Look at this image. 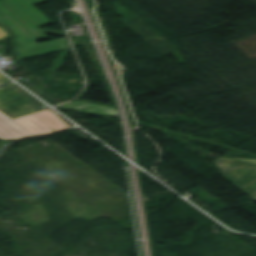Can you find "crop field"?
Here are the masks:
<instances>
[{"label":"crop field","mask_w":256,"mask_h":256,"mask_svg":"<svg viewBox=\"0 0 256 256\" xmlns=\"http://www.w3.org/2000/svg\"><path fill=\"white\" fill-rule=\"evenodd\" d=\"M47 0H0V24L9 27L14 46L48 39L39 28L53 23L33 5Z\"/></svg>","instance_id":"obj_1"},{"label":"crop field","mask_w":256,"mask_h":256,"mask_svg":"<svg viewBox=\"0 0 256 256\" xmlns=\"http://www.w3.org/2000/svg\"><path fill=\"white\" fill-rule=\"evenodd\" d=\"M28 103L32 106H25ZM40 106H43L40 101L15 85L0 89V111L12 119L44 110Z\"/></svg>","instance_id":"obj_2"},{"label":"crop field","mask_w":256,"mask_h":256,"mask_svg":"<svg viewBox=\"0 0 256 256\" xmlns=\"http://www.w3.org/2000/svg\"><path fill=\"white\" fill-rule=\"evenodd\" d=\"M214 163L230 183L244 188L256 181V160L219 157Z\"/></svg>","instance_id":"obj_3"},{"label":"crop field","mask_w":256,"mask_h":256,"mask_svg":"<svg viewBox=\"0 0 256 256\" xmlns=\"http://www.w3.org/2000/svg\"><path fill=\"white\" fill-rule=\"evenodd\" d=\"M70 48L66 38L38 44L37 42L14 47L15 61Z\"/></svg>","instance_id":"obj_4"},{"label":"crop field","mask_w":256,"mask_h":256,"mask_svg":"<svg viewBox=\"0 0 256 256\" xmlns=\"http://www.w3.org/2000/svg\"><path fill=\"white\" fill-rule=\"evenodd\" d=\"M59 109L63 110H74V111H79L83 113H90V114H101L104 116H117V109L114 107L110 106H103V105H98L86 101H74L72 103H69L67 105L58 107ZM84 108H87L86 111H83Z\"/></svg>","instance_id":"obj_5"},{"label":"crop field","mask_w":256,"mask_h":256,"mask_svg":"<svg viewBox=\"0 0 256 256\" xmlns=\"http://www.w3.org/2000/svg\"><path fill=\"white\" fill-rule=\"evenodd\" d=\"M10 38V34L8 30L2 26H0V41Z\"/></svg>","instance_id":"obj_6"},{"label":"crop field","mask_w":256,"mask_h":256,"mask_svg":"<svg viewBox=\"0 0 256 256\" xmlns=\"http://www.w3.org/2000/svg\"><path fill=\"white\" fill-rule=\"evenodd\" d=\"M244 190L256 198V182L244 188Z\"/></svg>","instance_id":"obj_7"},{"label":"crop field","mask_w":256,"mask_h":256,"mask_svg":"<svg viewBox=\"0 0 256 256\" xmlns=\"http://www.w3.org/2000/svg\"><path fill=\"white\" fill-rule=\"evenodd\" d=\"M11 82L9 79H7L5 76H3L2 74H0V86L1 85H4V84H7Z\"/></svg>","instance_id":"obj_8"}]
</instances>
